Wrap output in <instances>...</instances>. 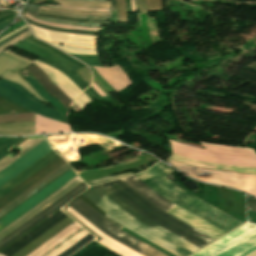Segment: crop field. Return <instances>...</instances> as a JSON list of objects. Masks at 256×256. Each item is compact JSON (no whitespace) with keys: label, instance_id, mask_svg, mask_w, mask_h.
I'll list each match as a JSON object with an SVG mask.
<instances>
[{"label":"crop field","instance_id":"dafd665d","mask_svg":"<svg viewBox=\"0 0 256 256\" xmlns=\"http://www.w3.org/2000/svg\"><path fill=\"white\" fill-rule=\"evenodd\" d=\"M30 84L31 86L47 101H49L65 118H66V112L67 110L64 108V106L57 101L55 98L50 96L42 87L41 85L37 82L35 78L32 76H26L24 77Z\"/></svg>","mask_w":256,"mask_h":256},{"label":"crop field","instance_id":"8a807250","mask_svg":"<svg viewBox=\"0 0 256 256\" xmlns=\"http://www.w3.org/2000/svg\"><path fill=\"white\" fill-rule=\"evenodd\" d=\"M88 199H90L93 203L102 198L103 196L109 197L112 201H114L117 205L123 208L126 212H128L135 219L151 226L155 227L157 225L151 223L145 218L139 216L129 207H127L124 203L114 197L111 193L105 190L100 185L92 187L87 193L83 194ZM103 197L95 204L99 206L102 210L112 216L115 220L121 223L123 226L129 228L130 230L138 233L139 235L145 237L146 239L152 241L153 243L159 245L160 247L168 250L169 252L175 254L176 256H188L200 249L185 240L173 235L172 233L160 228H151L131 217L128 213H126L123 209L117 206L114 202H112L109 198Z\"/></svg>","mask_w":256,"mask_h":256},{"label":"crop field","instance_id":"730fd06b","mask_svg":"<svg viewBox=\"0 0 256 256\" xmlns=\"http://www.w3.org/2000/svg\"><path fill=\"white\" fill-rule=\"evenodd\" d=\"M40 6L33 5L28 3L27 7L25 8V11H27L31 15H35L36 12L39 10ZM41 9H46V10H55V11H61V12H67V13H77V14H89V15H109L110 12H82V11H74V10H63V9H54V8H49L42 6Z\"/></svg>","mask_w":256,"mask_h":256},{"label":"crop field","instance_id":"120bbe31","mask_svg":"<svg viewBox=\"0 0 256 256\" xmlns=\"http://www.w3.org/2000/svg\"><path fill=\"white\" fill-rule=\"evenodd\" d=\"M92 238H94V236L92 235H87L85 238H83L82 240H80L79 242H77L75 245H73L72 247H70L69 249H67L65 252H63L62 254H60L59 256H68L71 253H73L75 250H77L78 248H80L82 245H84L85 243H87L88 241H90ZM83 247V246H82ZM76 252V251H75Z\"/></svg>","mask_w":256,"mask_h":256},{"label":"crop field","instance_id":"eef30255","mask_svg":"<svg viewBox=\"0 0 256 256\" xmlns=\"http://www.w3.org/2000/svg\"><path fill=\"white\" fill-rule=\"evenodd\" d=\"M63 5H76L84 7H110L109 1H85V0H55Z\"/></svg>","mask_w":256,"mask_h":256},{"label":"crop field","instance_id":"a9b5d70f","mask_svg":"<svg viewBox=\"0 0 256 256\" xmlns=\"http://www.w3.org/2000/svg\"><path fill=\"white\" fill-rule=\"evenodd\" d=\"M83 185H85L83 182L80 183L78 186H76L75 188H73L71 191H69L68 193H66L64 196H62L61 198H59L57 201H55L54 203H52L50 206H48L47 208H45L43 211H41L40 213H38L36 216H34L33 218H31L29 221H27L26 223H24L22 226H20L19 228H17L15 231H13L12 233H10L8 236H6L5 238H3L0 241V244H2L3 242H5L7 239H9L10 237H12L14 234H16L17 232H19L21 229H23L24 227H26L28 224H30L31 222H33L34 220H36L38 217H40L41 215H43L45 212H47L48 210H50L52 207H54L55 205H57L59 202H61L62 200H64L66 197H68L69 195H71L72 193H74L76 190H78L79 188H81Z\"/></svg>","mask_w":256,"mask_h":256},{"label":"crop field","instance_id":"d8731c3e","mask_svg":"<svg viewBox=\"0 0 256 256\" xmlns=\"http://www.w3.org/2000/svg\"><path fill=\"white\" fill-rule=\"evenodd\" d=\"M0 94L42 116L67 123L66 119L58 111L43 105L39 99L33 97L18 84L16 85L7 80L0 79Z\"/></svg>","mask_w":256,"mask_h":256},{"label":"crop field","instance_id":"dd49c442","mask_svg":"<svg viewBox=\"0 0 256 256\" xmlns=\"http://www.w3.org/2000/svg\"><path fill=\"white\" fill-rule=\"evenodd\" d=\"M169 162L185 174L196 179L240 189L252 196H256V175L195 168L171 159Z\"/></svg>","mask_w":256,"mask_h":256},{"label":"crop field","instance_id":"d1516ede","mask_svg":"<svg viewBox=\"0 0 256 256\" xmlns=\"http://www.w3.org/2000/svg\"><path fill=\"white\" fill-rule=\"evenodd\" d=\"M50 150L52 149L49 147L48 143L45 140L41 144L33 148L31 151L26 153L24 156L19 158L17 161L12 163L10 166L5 168L3 171L0 172V186L10 180L19 172H21L27 166L32 164L38 158L44 156Z\"/></svg>","mask_w":256,"mask_h":256},{"label":"crop field","instance_id":"b80d0937","mask_svg":"<svg viewBox=\"0 0 256 256\" xmlns=\"http://www.w3.org/2000/svg\"><path fill=\"white\" fill-rule=\"evenodd\" d=\"M29 35H30V31L25 33V34H23V35H21V36H19V37H17V38H15L14 40L8 42L7 44H5L2 47H0V52L5 50L6 48L16 44L17 42L21 41L23 38H25V37H27Z\"/></svg>","mask_w":256,"mask_h":256},{"label":"crop field","instance_id":"03da06ac","mask_svg":"<svg viewBox=\"0 0 256 256\" xmlns=\"http://www.w3.org/2000/svg\"><path fill=\"white\" fill-rule=\"evenodd\" d=\"M90 69L93 72V76L98 79L111 93L114 92L115 90L109 85L107 84L99 75L98 73L94 70L93 67H90Z\"/></svg>","mask_w":256,"mask_h":256},{"label":"crop field","instance_id":"028f5c9d","mask_svg":"<svg viewBox=\"0 0 256 256\" xmlns=\"http://www.w3.org/2000/svg\"><path fill=\"white\" fill-rule=\"evenodd\" d=\"M132 174H133V172L122 174V175L107 176V177H104V178H100V179H97V180H94V181L87 182V184L92 185V184H96V183H100V182H104V181H110V180L118 179V178L125 177V176L132 175Z\"/></svg>","mask_w":256,"mask_h":256},{"label":"crop field","instance_id":"733c2abd","mask_svg":"<svg viewBox=\"0 0 256 256\" xmlns=\"http://www.w3.org/2000/svg\"><path fill=\"white\" fill-rule=\"evenodd\" d=\"M69 169H71L69 167V165L66 163L64 164L62 167H60L58 170H56L55 172H53L51 175H49L48 177H46L44 180H42L40 183H38L37 185H35L33 188H31L30 190H28L26 193H24L22 196H20L19 198H17L16 200H14L12 203H10L9 205H7L5 208H3L2 210H0V218L3 217L4 215H6L7 213H9L11 210H13L14 208H16L18 205H20L22 202H24L25 200H27L29 197H31L32 195H34L35 193H37L39 190H41L42 188H44L45 186H47L49 183H51L52 181H54L55 179H57L59 176H61L62 174H64L65 172H67Z\"/></svg>","mask_w":256,"mask_h":256},{"label":"crop field","instance_id":"9d1cf04e","mask_svg":"<svg viewBox=\"0 0 256 256\" xmlns=\"http://www.w3.org/2000/svg\"><path fill=\"white\" fill-rule=\"evenodd\" d=\"M246 256H256V249L252 251L251 253L247 254Z\"/></svg>","mask_w":256,"mask_h":256},{"label":"crop field","instance_id":"ae1a2a85","mask_svg":"<svg viewBox=\"0 0 256 256\" xmlns=\"http://www.w3.org/2000/svg\"><path fill=\"white\" fill-rule=\"evenodd\" d=\"M2 78L11 80L15 83H19L20 85L24 86L31 94H33L35 97L39 98L40 100L47 102L46 100H44L43 98H41L34 90L33 88L27 83V81L25 79H23L22 77H20L18 74L12 72V71H8L7 73H5L3 76H1Z\"/></svg>","mask_w":256,"mask_h":256},{"label":"crop field","instance_id":"412701ff","mask_svg":"<svg viewBox=\"0 0 256 256\" xmlns=\"http://www.w3.org/2000/svg\"><path fill=\"white\" fill-rule=\"evenodd\" d=\"M79 198H81L83 201H85L87 204H89L91 207H93L95 210H97L119 228H123L121 224H119L117 221H115L113 218H111L109 215H107L105 212L95 206L86 197L82 195ZM79 198L75 199L69 206V208L107 237L122 244L123 246L129 248L130 250L136 252L141 256H167L162 252L154 249L153 247L147 245L146 243L131 236L130 234L122 231Z\"/></svg>","mask_w":256,"mask_h":256},{"label":"crop field","instance_id":"0bd39190","mask_svg":"<svg viewBox=\"0 0 256 256\" xmlns=\"http://www.w3.org/2000/svg\"><path fill=\"white\" fill-rule=\"evenodd\" d=\"M89 101H91V99L82 92L74 102L78 105L80 109H82L84 105Z\"/></svg>","mask_w":256,"mask_h":256},{"label":"crop field","instance_id":"89e229c0","mask_svg":"<svg viewBox=\"0 0 256 256\" xmlns=\"http://www.w3.org/2000/svg\"><path fill=\"white\" fill-rule=\"evenodd\" d=\"M15 16H16V14H12V15H9V16L3 17V18H0V23L5 22V21H7V20H9V19H14Z\"/></svg>","mask_w":256,"mask_h":256},{"label":"crop field","instance_id":"0fb4a251","mask_svg":"<svg viewBox=\"0 0 256 256\" xmlns=\"http://www.w3.org/2000/svg\"><path fill=\"white\" fill-rule=\"evenodd\" d=\"M86 95H88L92 100L96 99L87 89L83 91Z\"/></svg>","mask_w":256,"mask_h":256},{"label":"crop field","instance_id":"e1f06a70","mask_svg":"<svg viewBox=\"0 0 256 256\" xmlns=\"http://www.w3.org/2000/svg\"><path fill=\"white\" fill-rule=\"evenodd\" d=\"M36 18H39L41 20H45V21H52V22H58V23H62V24H69V25H84V26H102L104 24H87V23H72V22H65V21H60V20H55V19H46V18H42V17H38L36 16ZM108 26V25H106Z\"/></svg>","mask_w":256,"mask_h":256},{"label":"crop field","instance_id":"214f88e0","mask_svg":"<svg viewBox=\"0 0 256 256\" xmlns=\"http://www.w3.org/2000/svg\"><path fill=\"white\" fill-rule=\"evenodd\" d=\"M70 132L69 126L36 114L35 134Z\"/></svg>","mask_w":256,"mask_h":256},{"label":"crop field","instance_id":"f4fd0767","mask_svg":"<svg viewBox=\"0 0 256 256\" xmlns=\"http://www.w3.org/2000/svg\"><path fill=\"white\" fill-rule=\"evenodd\" d=\"M170 144L174 153L198 161L256 167V155L250 150L207 144H203V150L173 141Z\"/></svg>","mask_w":256,"mask_h":256},{"label":"crop field","instance_id":"5866460e","mask_svg":"<svg viewBox=\"0 0 256 256\" xmlns=\"http://www.w3.org/2000/svg\"><path fill=\"white\" fill-rule=\"evenodd\" d=\"M26 20H27V22L35 24L37 26L52 29V30H56V31H63V32H70V33H77V34H96V33H98V32H82V31H75V30L57 29V28H54V27L44 26L42 24L35 23V22H33V21H31L27 18H26Z\"/></svg>","mask_w":256,"mask_h":256},{"label":"crop field","instance_id":"92a150f3","mask_svg":"<svg viewBox=\"0 0 256 256\" xmlns=\"http://www.w3.org/2000/svg\"><path fill=\"white\" fill-rule=\"evenodd\" d=\"M87 186H83L81 189H79L78 191H76L74 194H72L71 196H69L67 199H65L64 201H62L60 204H58L57 206H55L53 209H51L50 211H48L46 214H44L43 216H41L40 218H38L36 221H34L33 223H31L29 226H27L26 228H24L22 231H20L19 233H17L15 236H13L12 238H10L8 241H6L5 243H3L0 246V250H2L3 248H5L7 245H9L10 243H12L14 240H16L17 238H19L21 235H23L24 233H26L28 230H30L31 228H33L35 225H37L38 223H40L42 220H44L45 218H47L49 215H51L52 213H54L56 210H58L59 208H61L63 205H65L68 201H70L73 197H75L77 194H79L81 191H83L84 189H86Z\"/></svg>","mask_w":256,"mask_h":256},{"label":"crop field","instance_id":"c035e120","mask_svg":"<svg viewBox=\"0 0 256 256\" xmlns=\"http://www.w3.org/2000/svg\"><path fill=\"white\" fill-rule=\"evenodd\" d=\"M79 75L88 83L90 84L92 75L88 71V69L85 67L81 68L80 70L77 71Z\"/></svg>","mask_w":256,"mask_h":256},{"label":"crop field","instance_id":"425ffa30","mask_svg":"<svg viewBox=\"0 0 256 256\" xmlns=\"http://www.w3.org/2000/svg\"><path fill=\"white\" fill-rule=\"evenodd\" d=\"M28 30H29V29H28V27H27V28H25V29L19 31L18 33L14 34V35L11 36L10 38H8V39H6L5 41H3L2 43H0V46L3 45L4 43H6L7 41L13 39L14 37H16V36H18V35H20V34L26 32V31H28Z\"/></svg>","mask_w":256,"mask_h":256},{"label":"crop field","instance_id":"4a817a6b","mask_svg":"<svg viewBox=\"0 0 256 256\" xmlns=\"http://www.w3.org/2000/svg\"><path fill=\"white\" fill-rule=\"evenodd\" d=\"M25 70H28L33 74L39 80L43 88L55 96L66 107V109H68L72 101L49 80L47 75L38 66L31 63Z\"/></svg>","mask_w":256,"mask_h":256},{"label":"crop field","instance_id":"e52e79f7","mask_svg":"<svg viewBox=\"0 0 256 256\" xmlns=\"http://www.w3.org/2000/svg\"><path fill=\"white\" fill-rule=\"evenodd\" d=\"M121 180H123L133 189H135L138 193H140L154 205L160 207L165 211H168L175 205L169 202L168 200L164 199L162 196H160L158 193H156L154 190H152L150 187H148L145 183H143L134 175L122 178ZM168 212L215 239L226 234L176 205Z\"/></svg>","mask_w":256,"mask_h":256},{"label":"crop field","instance_id":"d3111659","mask_svg":"<svg viewBox=\"0 0 256 256\" xmlns=\"http://www.w3.org/2000/svg\"><path fill=\"white\" fill-rule=\"evenodd\" d=\"M37 61H41V62H44V63H46V64H48V65H51V64H49V63H47V62H45V61H43V60H40V59H38V58H37ZM51 66H53V65H51ZM53 67H55V66H53ZM55 68H57V67H55ZM57 69L60 70L62 73H64L67 77H69L82 91H83L87 86H89V85L78 75L77 72H74V73H72V74H69V73H67V72H65V71H63V70H61V69H59V68H57Z\"/></svg>","mask_w":256,"mask_h":256},{"label":"crop field","instance_id":"d9b57169","mask_svg":"<svg viewBox=\"0 0 256 256\" xmlns=\"http://www.w3.org/2000/svg\"><path fill=\"white\" fill-rule=\"evenodd\" d=\"M72 101L81 92L64 74L60 71L41 62L34 61Z\"/></svg>","mask_w":256,"mask_h":256},{"label":"crop field","instance_id":"bc2a9ffb","mask_svg":"<svg viewBox=\"0 0 256 256\" xmlns=\"http://www.w3.org/2000/svg\"><path fill=\"white\" fill-rule=\"evenodd\" d=\"M56 156H58L54 150L51 151L49 154H47L46 156H44L42 159H40L39 161H37L35 164H33L32 166H30L28 169H26L25 171H23L21 174H19L18 176H16L14 179H12L11 181H9L7 184H5L4 186H2L0 188V197L5 194L6 192H8L10 189H12L13 187H15L17 184H19L20 182H22L24 179H26L28 176H30L31 174H33L35 171H37L38 169H40L42 166H44L45 164H47L49 161H51L52 159H54Z\"/></svg>","mask_w":256,"mask_h":256},{"label":"crop field","instance_id":"22f410ed","mask_svg":"<svg viewBox=\"0 0 256 256\" xmlns=\"http://www.w3.org/2000/svg\"><path fill=\"white\" fill-rule=\"evenodd\" d=\"M80 182H82L78 177L74 178L73 180H71L69 183H67L66 185H64L62 188H60L59 190H57L55 193H53L52 195H50L48 198H46L45 200H43L41 203H39L38 205H36L34 208H32L31 210H29L27 213H25L24 215H22L20 218H18L17 220H15L13 223H11L10 225H8L6 228H4L3 230L0 231V240L5 237L6 235H8L10 232H12L13 230H15L17 227H19L20 225H22L24 222H26L27 220H29L31 217H33L34 215H36L38 212H40L41 210H43L45 207H47L48 205H50L52 202H54L55 200H57L59 197H61L62 195H64L66 192H68L69 190H71L73 187H75L76 185H78Z\"/></svg>","mask_w":256,"mask_h":256},{"label":"crop field","instance_id":"3316defc","mask_svg":"<svg viewBox=\"0 0 256 256\" xmlns=\"http://www.w3.org/2000/svg\"><path fill=\"white\" fill-rule=\"evenodd\" d=\"M75 176H77L76 172L73 171L72 169L69 170L67 173L59 177L57 180L52 182L50 185L42 189L40 192L35 194L33 197L28 199L26 202L18 206L16 209L11 211L9 214L4 216L2 219H0V223L3 225H8L10 222L18 218L20 215L25 213L27 210L32 208L34 205L42 201L44 198L49 196L51 193L56 191L58 188L66 184L68 181L73 179ZM0 224V230L5 227Z\"/></svg>","mask_w":256,"mask_h":256},{"label":"crop field","instance_id":"c21b1889","mask_svg":"<svg viewBox=\"0 0 256 256\" xmlns=\"http://www.w3.org/2000/svg\"><path fill=\"white\" fill-rule=\"evenodd\" d=\"M21 139H23V138H16L12 142L7 144L5 147L0 149V159H2L4 156L10 154V153L6 152L5 150L8 149L9 147H11L12 145H14L15 143H17L18 141H20Z\"/></svg>","mask_w":256,"mask_h":256},{"label":"crop field","instance_id":"cbeb9de0","mask_svg":"<svg viewBox=\"0 0 256 256\" xmlns=\"http://www.w3.org/2000/svg\"><path fill=\"white\" fill-rule=\"evenodd\" d=\"M66 215L64 212H62L61 210L58 211L56 214H54L53 216H51L49 219H47L46 221H44L43 223H41L39 226H37L36 228H34L32 231H30L29 233H27L25 236H23L22 238H20L18 241H16L15 243H13L12 245H10L8 248H6L5 250H3L0 254L4 255V256H12L13 254H15L16 252H18L20 249H22L23 247H25L27 244H29L30 242H32L34 239H36L37 237H39L41 234H43L45 231H47L48 229H50L52 226H54L55 224H57L59 221H61L62 219H64ZM1 256V255H0Z\"/></svg>","mask_w":256,"mask_h":256},{"label":"crop field","instance_id":"34b2d1b8","mask_svg":"<svg viewBox=\"0 0 256 256\" xmlns=\"http://www.w3.org/2000/svg\"><path fill=\"white\" fill-rule=\"evenodd\" d=\"M101 186L139 215L200 248L215 240L154 206L120 179L101 184Z\"/></svg>","mask_w":256,"mask_h":256},{"label":"crop field","instance_id":"750c4746","mask_svg":"<svg viewBox=\"0 0 256 256\" xmlns=\"http://www.w3.org/2000/svg\"><path fill=\"white\" fill-rule=\"evenodd\" d=\"M40 13L52 14V15H58V16H65V17H71V18H93V19H101V20H110V17L82 16V15L66 14V13L46 11V10H41Z\"/></svg>","mask_w":256,"mask_h":256},{"label":"crop field","instance_id":"bd1437ed","mask_svg":"<svg viewBox=\"0 0 256 256\" xmlns=\"http://www.w3.org/2000/svg\"><path fill=\"white\" fill-rule=\"evenodd\" d=\"M26 39H28V40H30V41H32V42H34V43H36V44H38V45H40V46H42V47H44V48H46V49H48V50L54 52V53H56V54H58V55H60V56H62V57H64V58H66L67 60H69L70 62H72L73 64L77 65V66L80 67V68L84 66V65L78 63L77 61L73 60V59L70 58L69 56H67V55H65V54H63V53H61L60 51H58V50H56V49H54V48H52V47H49V46H47V45H45V44H43V43H41V42H39V41H37V40L31 38V37H28V38H26Z\"/></svg>","mask_w":256,"mask_h":256},{"label":"crop field","instance_id":"73cf0c24","mask_svg":"<svg viewBox=\"0 0 256 256\" xmlns=\"http://www.w3.org/2000/svg\"><path fill=\"white\" fill-rule=\"evenodd\" d=\"M5 53H6V54H9V55H11V56H14V57H16V58H18V59H21V60H23V61H26V62H28V63H31V61H29V60H27V59H25V58H23V57H21V56L15 54V53H12V52H10V51H8V50L5 51Z\"/></svg>","mask_w":256,"mask_h":256},{"label":"crop field","instance_id":"25e5ab78","mask_svg":"<svg viewBox=\"0 0 256 256\" xmlns=\"http://www.w3.org/2000/svg\"><path fill=\"white\" fill-rule=\"evenodd\" d=\"M14 138H8V137H1L0 138V148H2L4 145H6L8 142H10Z\"/></svg>","mask_w":256,"mask_h":256},{"label":"crop field","instance_id":"5d738f31","mask_svg":"<svg viewBox=\"0 0 256 256\" xmlns=\"http://www.w3.org/2000/svg\"><path fill=\"white\" fill-rule=\"evenodd\" d=\"M111 11H116V2L111 0ZM112 22H117L116 12H111Z\"/></svg>","mask_w":256,"mask_h":256},{"label":"crop field","instance_id":"d32e631a","mask_svg":"<svg viewBox=\"0 0 256 256\" xmlns=\"http://www.w3.org/2000/svg\"><path fill=\"white\" fill-rule=\"evenodd\" d=\"M38 15L39 16L50 17V18L62 19V20H70V21H75V22H94V23L111 24V21H99V20H87V19H71V18L58 17V16H52V15H43V14H38Z\"/></svg>","mask_w":256,"mask_h":256},{"label":"crop field","instance_id":"5142ce71","mask_svg":"<svg viewBox=\"0 0 256 256\" xmlns=\"http://www.w3.org/2000/svg\"><path fill=\"white\" fill-rule=\"evenodd\" d=\"M15 47L20 48L24 51H27L29 53H32L36 56H39L45 60H48L62 68H64L65 70H67L68 72H73L77 69H79L78 67H76L75 65L69 63L68 61L60 58L59 56L55 55L54 53L28 41V40H23L22 42H20L19 44H17Z\"/></svg>","mask_w":256,"mask_h":256},{"label":"crop field","instance_id":"28ad6ade","mask_svg":"<svg viewBox=\"0 0 256 256\" xmlns=\"http://www.w3.org/2000/svg\"><path fill=\"white\" fill-rule=\"evenodd\" d=\"M64 163L66 162L58 156L47 165L42 167L40 170L35 172L33 175L28 177L26 180H24L22 183L17 185L15 188H13L0 198V209L12 202L14 199H16L18 196H20L32 186L37 184L39 181L44 179L50 173L62 166Z\"/></svg>","mask_w":256,"mask_h":256},{"label":"crop field","instance_id":"d23c7cc5","mask_svg":"<svg viewBox=\"0 0 256 256\" xmlns=\"http://www.w3.org/2000/svg\"><path fill=\"white\" fill-rule=\"evenodd\" d=\"M249 210L256 212V199L248 196Z\"/></svg>","mask_w":256,"mask_h":256},{"label":"crop field","instance_id":"1f2cbd36","mask_svg":"<svg viewBox=\"0 0 256 256\" xmlns=\"http://www.w3.org/2000/svg\"><path fill=\"white\" fill-rule=\"evenodd\" d=\"M99 88H101L108 96H110L108 94V91L94 78V81H93Z\"/></svg>","mask_w":256,"mask_h":256},{"label":"crop field","instance_id":"4177f3b9","mask_svg":"<svg viewBox=\"0 0 256 256\" xmlns=\"http://www.w3.org/2000/svg\"><path fill=\"white\" fill-rule=\"evenodd\" d=\"M41 141H43V139L41 138H37V139H28L25 142H23L21 145H19L18 147L23 148L24 150L21 152H19V154L17 156H15L14 158H9L6 157L3 160L0 161V170H2L4 167H6L7 165H9L11 162H13L14 160H16L17 158H19L21 155H23L24 153H26L27 151H29L31 148H33L34 146H36L37 144H39Z\"/></svg>","mask_w":256,"mask_h":256},{"label":"crop field","instance_id":"1d79db26","mask_svg":"<svg viewBox=\"0 0 256 256\" xmlns=\"http://www.w3.org/2000/svg\"><path fill=\"white\" fill-rule=\"evenodd\" d=\"M10 13H13V12L8 10V11L0 13V16L7 15V14H10Z\"/></svg>","mask_w":256,"mask_h":256},{"label":"crop field","instance_id":"5a996713","mask_svg":"<svg viewBox=\"0 0 256 256\" xmlns=\"http://www.w3.org/2000/svg\"><path fill=\"white\" fill-rule=\"evenodd\" d=\"M34 34L44 41H51L59 44H67V45H73V46H79V47H88V48H95L94 50L89 49H81V48H73V47H67L62 45H56L60 47L61 49L65 50L68 53H81V54H97L96 51V38L97 36H91V35H73V34H67V33H61L56 31H51L48 29L36 27L33 25H30ZM49 43V42H48Z\"/></svg>","mask_w":256,"mask_h":256},{"label":"crop field","instance_id":"dbb93151","mask_svg":"<svg viewBox=\"0 0 256 256\" xmlns=\"http://www.w3.org/2000/svg\"><path fill=\"white\" fill-rule=\"evenodd\" d=\"M25 27H27V25H25V26H23V27H21V28H19V29L15 30V31H13V32L9 33L8 35H6V36H4V37L0 38V41H1L2 39L6 38V37H8V36H10V35H12V34H14V33L18 32L19 30H21V29H23V28H25Z\"/></svg>","mask_w":256,"mask_h":256},{"label":"crop field","instance_id":"1d83c4d3","mask_svg":"<svg viewBox=\"0 0 256 256\" xmlns=\"http://www.w3.org/2000/svg\"><path fill=\"white\" fill-rule=\"evenodd\" d=\"M83 62H85L88 65L92 66H102L99 62L98 56L97 55H77V54H71Z\"/></svg>","mask_w":256,"mask_h":256},{"label":"crop field","instance_id":"00972430","mask_svg":"<svg viewBox=\"0 0 256 256\" xmlns=\"http://www.w3.org/2000/svg\"><path fill=\"white\" fill-rule=\"evenodd\" d=\"M28 65V63L8 56L4 53H0V75L3 74L6 70L11 69L15 72L19 71L23 67Z\"/></svg>","mask_w":256,"mask_h":256},{"label":"crop field","instance_id":"b54c1fbb","mask_svg":"<svg viewBox=\"0 0 256 256\" xmlns=\"http://www.w3.org/2000/svg\"><path fill=\"white\" fill-rule=\"evenodd\" d=\"M139 12L147 13L144 0H135Z\"/></svg>","mask_w":256,"mask_h":256},{"label":"crop field","instance_id":"ac0d7876","mask_svg":"<svg viewBox=\"0 0 256 256\" xmlns=\"http://www.w3.org/2000/svg\"><path fill=\"white\" fill-rule=\"evenodd\" d=\"M171 168L163 163H158L150 169L136 174L140 179L150 185L153 189L165 198L218 226L219 228L230 231L242 224L186 191L180 189L164 176L172 172Z\"/></svg>","mask_w":256,"mask_h":256}]
</instances>
